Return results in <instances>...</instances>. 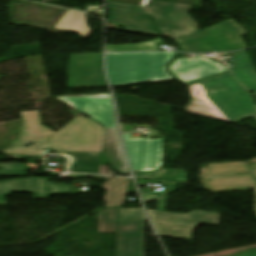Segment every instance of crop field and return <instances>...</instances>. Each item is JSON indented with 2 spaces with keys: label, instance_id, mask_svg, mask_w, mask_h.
Segmentation results:
<instances>
[{
  "label": "crop field",
  "instance_id": "4",
  "mask_svg": "<svg viewBox=\"0 0 256 256\" xmlns=\"http://www.w3.org/2000/svg\"><path fill=\"white\" fill-rule=\"evenodd\" d=\"M177 53L109 54L107 66L113 87L175 80L167 65Z\"/></svg>",
  "mask_w": 256,
  "mask_h": 256
},
{
  "label": "crop field",
  "instance_id": "11",
  "mask_svg": "<svg viewBox=\"0 0 256 256\" xmlns=\"http://www.w3.org/2000/svg\"><path fill=\"white\" fill-rule=\"evenodd\" d=\"M12 192H30L34 199H50L53 194H72V185H60L48 179L26 178L0 182V205H6V195Z\"/></svg>",
  "mask_w": 256,
  "mask_h": 256
},
{
  "label": "crop field",
  "instance_id": "22",
  "mask_svg": "<svg viewBox=\"0 0 256 256\" xmlns=\"http://www.w3.org/2000/svg\"><path fill=\"white\" fill-rule=\"evenodd\" d=\"M100 174L115 175V173L109 169V166H100Z\"/></svg>",
  "mask_w": 256,
  "mask_h": 256
},
{
  "label": "crop field",
  "instance_id": "12",
  "mask_svg": "<svg viewBox=\"0 0 256 256\" xmlns=\"http://www.w3.org/2000/svg\"><path fill=\"white\" fill-rule=\"evenodd\" d=\"M190 93L192 96L190 104L187 106L186 111L199 114L202 116L231 122L226 118L219 109L208 99L206 90L202 84L190 86ZM233 123V122H232Z\"/></svg>",
  "mask_w": 256,
  "mask_h": 256
},
{
  "label": "crop field",
  "instance_id": "6",
  "mask_svg": "<svg viewBox=\"0 0 256 256\" xmlns=\"http://www.w3.org/2000/svg\"><path fill=\"white\" fill-rule=\"evenodd\" d=\"M81 114L106 127L104 154L110 165L120 174H130L123 155L114 118L110 94L94 95V98H70Z\"/></svg>",
  "mask_w": 256,
  "mask_h": 256
},
{
  "label": "crop field",
  "instance_id": "19",
  "mask_svg": "<svg viewBox=\"0 0 256 256\" xmlns=\"http://www.w3.org/2000/svg\"><path fill=\"white\" fill-rule=\"evenodd\" d=\"M166 170V168H162L160 171L155 173H144V174H137L135 175L136 178H146V179H157L161 176Z\"/></svg>",
  "mask_w": 256,
  "mask_h": 256
},
{
  "label": "crop field",
  "instance_id": "24",
  "mask_svg": "<svg viewBox=\"0 0 256 256\" xmlns=\"http://www.w3.org/2000/svg\"><path fill=\"white\" fill-rule=\"evenodd\" d=\"M27 168H28V171H32L31 168H35V169H36L34 163H28V164H27Z\"/></svg>",
  "mask_w": 256,
  "mask_h": 256
},
{
  "label": "crop field",
  "instance_id": "3",
  "mask_svg": "<svg viewBox=\"0 0 256 256\" xmlns=\"http://www.w3.org/2000/svg\"><path fill=\"white\" fill-rule=\"evenodd\" d=\"M20 115L18 139L4 154L42 155L47 150L59 151L69 157V172L78 173L99 174V165H107L102 154L104 127L94 121L76 117L56 133L42 126L40 111L21 112ZM30 142L36 144L24 146Z\"/></svg>",
  "mask_w": 256,
  "mask_h": 256
},
{
  "label": "crop field",
  "instance_id": "10",
  "mask_svg": "<svg viewBox=\"0 0 256 256\" xmlns=\"http://www.w3.org/2000/svg\"><path fill=\"white\" fill-rule=\"evenodd\" d=\"M128 157L135 172L154 171L162 167L163 138L130 139L123 134Z\"/></svg>",
  "mask_w": 256,
  "mask_h": 256
},
{
  "label": "crop field",
  "instance_id": "17",
  "mask_svg": "<svg viewBox=\"0 0 256 256\" xmlns=\"http://www.w3.org/2000/svg\"><path fill=\"white\" fill-rule=\"evenodd\" d=\"M0 168V176H26V165L0 164Z\"/></svg>",
  "mask_w": 256,
  "mask_h": 256
},
{
  "label": "crop field",
  "instance_id": "1",
  "mask_svg": "<svg viewBox=\"0 0 256 256\" xmlns=\"http://www.w3.org/2000/svg\"><path fill=\"white\" fill-rule=\"evenodd\" d=\"M109 22L122 25L126 31L173 38L185 52L232 51L245 48L241 39L244 29L233 19L197 32V24L188 15L192 6L150 0L147 8L109 2ZM154 18L161 35L155 31Z\"/></svg>",
  "mask_w": 256,
  "mask_h": 256
},
{
  "label": "crop field",
  "instance_id": "26",
  "mask_svg": "<svg viewBox=\"0 0 256 256\" xmlns=\"http://www.w3.org/2000/svg\"><path fill=\"white\" fill-rule=\"evenodd\" d=\"M95 178L110 179V178H112V177H106V176H96Z\"/></svg>",
  "mask_w": 256,
  "mask_h": 256
},
{
  "label": "crop field",
  "instance_id": "15",
  "mask_svg": "<svg viewBox=\"0 0 256 256\" xmlns=\"http://www.w3.org/2000/svg\"><path fill=\"white\" fill-rule=\"evenodd\" d=\"M162 42L160 38L153 41L130 45H107L108 52H134V51H158L156 43Z\"/></svg>",
  "mask_w": 256,
  "mask_h": 256
},
{
  "label": "crop field",
  "instance_id": "2",
  "mask_svg": "<svg viewBox=\"0 0 256 256\" xmlns=\"http://www.w3.org/2000/svg\"><path fill=\"white\" fill-rule=\"evenodd\" d=\"M227 67L206 57L176 59L169 71L190 86L202 83L209 99L234 123L248 117L256 119V106L248 91L256 96V70L246 50L233 53Z\"/></svg>",
  "mask_w": 256,
  "mask_h": 256
},
{
  "label": "crop field",
  "instance_id": "7",
  "mask_svg": "<svg viewBox=\"0 0 256 256\" xmlns=\"http://www.w3.org/2000/svg\"><path fill=\"white\" fill-rule=\"evenodd\" d=\"M159 235L192 241L200 223L219 226L220 215L193 211L187 215L147 210Z\"/></svg>",
  "mask_w": 256,
  "mask_h": 256
},
{
  "label": "crop field",
  "instance_id": "13",
  "mask_svg": "<svg viewBox=\"0 0 256 256\" xmlns=\"http://www.w3.org/2000/svg\"><path fill=\"white\" fill-rule=\"evenodd\" d=\"M131 180V181H129ZM107 189L104 201L107 206H120L126 193H137L132 179L115 177L103 186Z\"/></svg>",
  "mask_w": 256,
  "mask_h": 256
},
{
  "label": "crop field",
  "instance_id": "21",
  "mask_svg": "<svg viewBox=\"0 0 256 256\" xmlns=\"http://www.w3.org/2000/svg\"><path fill=\"white\" fill-rule=\"evenodd\" d=\"M68 97H93V95H79V96H63V97H59L58 99L65 102L66 104H68L69 106H71L72 108H74L75 110H77L74 105L69 101ZM78 111V110H77Z\"/></svg>",
  "mask_w": 256,
  "mask_h": 256
},
{
  "label": "crop field",
  "instance_id": "9",
  "mask_svg": "<svg viewBox=\"0 0 256 256\" xmlns=\"http://www.w3.org/2000/svg\"><path fill=\"white\" fill-rule=\"evenodd\" d=\"M102 53L70 55L67 73L69 88L107 86Z\"/></svg>",
  "mask_w": 256,
  "mask_h": 256
},
{
  "label": "crop field",
  "instance_id": "14",
  "mask_svg": "<svg viewBox=\"0 0 256 256\" xmlns=\"http://www.w3.org/2000/svg\"><path fill=\"white\" fill-rule=\"evenodd\" d=\"M56 29L73 30L85 38L93 32L87 27L86 14L72 10H68Z\"/></svg>",
  "mask_w": 256,
  "mask_h": 256
},
{
  "label": "crop field",
  "instance_id": "23",
  "mask_svg": "<svg viewBox=\"0 0 256 256\" xmlns=\"http://www.w3.org/2000/svg\"><path fill=\"white\" fill-rule=\"evenodd\" d=\"M69 178H86L89 177V175H83V174H71L68 176Z\"/></svg>",
  "mask_w": 256,
  "mask_h": 256
},
{
  "label": "crop field",
  "instance_id": "8",
  "mask_svg": "<svg viewBox=\"0 0 256 256\" xmlns=\"http://www.w3.org/2000/svg\"><path fill=\"white\" fill-rule=\"evenodd\" d=\"M202 183L213 193L256 189V179L243 162L209 165L208 177Z\"/></svg>",
  "mask_w": 256,
  "mask_h": 256
},
{
  "label": "crop field",
  "instance_id": "5",
  "mask_svg": "<svg viewBox=\"0 0 256 256\" xmlns=\"http://www.w3.org/2000/svg\"><path fill=\"white\" fill-rule=\"evenodd\" d=\"M145 220L142 208L102 210L98 233H116V256H144Z\"/></svg>",
  "mask_w": 256,
  "mask_h": 256
},
{
  "label": "crop field",
  "instance_id": "18",
  "mask_svg": "<svg viewBox=\"0 0 256 256\" xmlns=\"http://www.w3.org/2000/svg\"><path fill=\"white\" fill-rule=\"evenodd\" d=\"M157 180L162 182H185L187 181V176L184 171L169 169Z\"/></svg>",
  "mask_w": 256,
  "mask_h": 256
},
{
  "label": "crop field",
  "instance_id": "25",
  "mask_svg": "<svg viewBox=\"0 0 256 256\" xmlns=\"http://www.w3.org/2000/svg\"><path fill=\"white\" fill-rule=\"evenodd\" d=\"M250 167H251V169H252V171H253L254 176L256 177V170L253 169V168H256V165H252V166H250Z\"/></svg>",
  "mask_w": 256,
  "mask_h": 256
},
{
  "label": "crop field",
  "instance_id": "20",
  "mask_svg": "<svg viewBox=\"0 0 256 256\" xmlns=\"http://www.w3.org/2000/svg\"><path fill=\"white\" fill-rule=\"evenodd\" d=\"M228 256H256V248L246 250L243 252H239V253H235V254L228 255Z\"/></svg>",
  "mask_w": 256,
  "mask_h": 256
},
{
  "label": "crop field",
  "instance_id": "16",
  "mask_svg": "<svg viewBox=\"0 0 256 256\" xmlns=\"http://www.w3.org/2000/svg\"><path fill=\"white\" fill-rule=\"evenodd\" d=\"M176 189V184H167L162 192L155 193L149 190H140L145 202L159 200L157 210L165 211L169 192Z\"/></svg>",
  "mask_w": 256,
  "mask_h": 256
}]
</instances>
